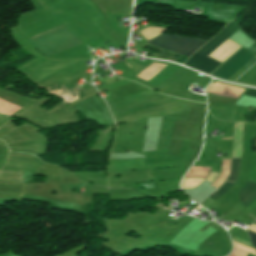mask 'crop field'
<instances>
[{"instance_id":"obj_1","label":"crop field","mask_w":256,"mask_h":256,"mask_svg":"<svg viewBox=\"0 0 256 256\" xmlns=\"http://www.w3.org/2000/svg\"><path fill=\"white\" fill-rule=\"evenodd\" d=\"M226 28H229L231 30H238V26L235 24L234 21L228 23ZM223 29L220 33H218L216 36H214L208 43H206L203 47H201L197 52L207 56L209 53H211L216 47H218L223 41H225L229 36H231L234 31H231L229 29ZM195 52L189 60L185 63V65L190 66L192 68H195L197 70H200L202 72H205L209 74L211 71H213L217 66L220 65V63L205 57L199 53Z\"/></svg>"},{"instance_id":"obj_2","label":"crop field","mask_w":256,"mask_h":256,"mask_svg":"<svg viewBox=\"0 0 256 256\" xmlns=\"http://www.w3.org/2000/svg\"><path fill=\"white\" fill-rule=\"evenodd\" d=\"M147 43L182 55L190 56L196 49L200 48L206 42L177 35L161 34Z\"/></svg>"},{"instance_id":"obj_3","label":"crop field","mask_w":256,"mask_h":256,"mask_svg":"<svg viewBox=\"0 0 256 256\" xmlns=\"http://www.w3.org/2000/svg\"><path fill=\"white\" fill-rule=\"evenodd\" d=\"M254 56L255 54L243 47L226 62H224L217 70H215L211 76L218 79L228 80Z\"/></svg>"},{"instance_id":"obj_4","label":"crop field","mask_w":256,"mask_h":256,"mask_svg":"<svg viewBox=\"0 0 256 256\" xmlns=\"http://www.w3.org/2000/svg\"><path fill=\"white\" fill-rule=\"evenodd\" d=\"M240 159H232L231 173L228 177V181H235L239 172Z\"/></svg>"},{"instance_id":"obj_5","label":"crop field","mask_w":256,"mask_h":256,"mask_svg":"<svg viewBox=\"0 0 256 256\" xmlns=\"http://www.w3.org/2000/svg\"><path fill=\"white\" fill-rule=\"evenodd\" d=\"M233 184H234V183L226 182L223 186L220 187L219 190H217L215 193H213V194L210 195L209 197H211V198L217 200V199L220 198L223 194H225V192H226L227 190H229V189L232 187Z\"/></svg>"},{"instance_id":"obj_6","label":"crop field","mask_w":256,"mask_h":256,"mask_svg":"<svg viewBox=\"0 0 256 256\" xmlns=\"http://www.w3.org/2000/svg\"><path fill=\"white\" fill-rule=\"evenodd\" d=\"M248 234H249V237L251 239V242H252L253 246L256 247V234L252 233V232H248Z\"/></svg>"},{"instance_id":"obj_7","label":"crop field","mask_w":256,"mask_h":256,"mask_svg":"<svg viewBox=\"0 0 256 256\" xmlns=\"http://www.w3.org/2000/svg\"><path fill=\"white\" fill-rule=\"evenodd\" d=\"M245 95L256 97V89L250 88Z\"/></svg>"},{"instance_id":"obj_8","label":"crop field","mask_w":256,"mask_h":256,"mask_svg":"<svg viewBox=\"0 0 256 256\" xmlns=\"http://www.w3.org/2000/svg\"><path fill=\"white\" fill-rule=\"evenodd\" d=\"M126 64V63H125ZM127 65V64H126ZM130 67V66H129ZM131 68V67H130Z\"/></svg>"}]
</instances>
